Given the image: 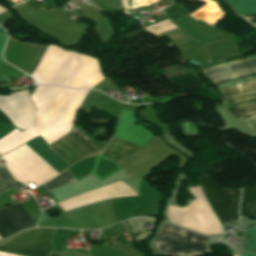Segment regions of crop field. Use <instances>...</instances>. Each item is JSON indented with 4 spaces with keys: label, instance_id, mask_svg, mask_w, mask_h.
<instances>
[{
    "label": "crop field",
    "instance_id": "8a807250",
    "mask_svg": "<svg viewBox=\"0 0 256 256\" xmlns=\"http://www.w3.org/2000/svg\"><path fill=\"white\" fill-rule=\"evenodd\" d=\"M87 93L62 87L37 86L31 96L37 107L35 130L48 145L71 131Z\"/></svg>",
    "mask_w": 256,
    "mask_h": 256
},
{
    "label": "crop field",
    "instance_id": "ac0d7876",
    "mask_svg": "<svg viewBox=\"0 0 256 256\" xmlns=\"http://www.w3.org/2000/svg\"><path fill=\"white\" fill-rule=\"evenodd\" d=\"M38 84H55L92 89L105 76L100 74L96 59L64 51L49 45L31 75Z\"/></svg>",
    "mask_w": 256,
    "mask_h": 256
},
{
    "label": "crop field",
    "instance_id": "34b2d1b8",
    "mask_svg": "<svg viewBox=\"0 0 256 256\" xmlns=\"http://www.w3.org/2000/svg\"><path fill=\"white\" fill-rule=\"evenodd\" d=\"M189 189L196 200L188 207H168L169 221L204 234L222 233L220 222L209 208L201 188Z\"/></svg>",
    "mask_w": 256,
    "mask_h": 256
},
{
    "label": "crop field",
    "instance_id": "412701ff",
    "mask_svg": "<svg viewBox=\"0 0 256 256\" xmlns=\"http://www.w3.org/2000/svg\"><path fill=\"white\" fill-rule=\"evenodd\" d=\"M207 237L196 235L173 225H161L154 252L172 256H190L205 251Z\"/></svg>",
    "mask_w": 256,
    "mask_h": 256
},
{
    "label": "crop field",
    "instance_id": "f4fd0767",
    "mask_svg": "<svg viewBox=\"0 0 256 256\" xmlns=\"http://www.w3.org/2000/svg\"><path fill=\"white\" fill-rule=\"evenodd\" d=\"M55 230L29 229L1 242L0 251L25 256H49Z\"/></svg>",
    "mask_w": 256,
    "mask_h": 256
},
{
    "label": "crop field",
    "instance_id": "dd49c442",
    "mask_svg": "<svg viewBox=\"0 0 256 256\" xmlns=\"http://www.w3.org/2000/svg\"><path fill=\"white\" fill-rule=\"evenodd\" d=\"M205 196L221 223L238 220L241 188L221 190L208 175L199 177Z\"/></svg>",
    "mask_w": 256,
    "mask_h": 256
},
{
    "label": "crop field",
    "instance_id": "e52e79f7",
    "mask_svg": "<svg viewBox=\"0 0 256 256\" xmlns=\"http://www.w3.org/2000/svg\"><path fill=\"white\" fill-rule=\"evenodd\" d=\"M0 111L9 118L15 127L21 130L33 127L34 106L27 90L0 96Z\"/></svg>",
    "mask_w": 256,
    "mask_h": 256
},
{
    "label": "crop field",
    "instance_id": "d8731c3e",
    "mask_svg": "<svg viewBox=\"0 0 256 256\" xmlns=\"http://www.w3.org/2000/svg\"><path fill=\"white\" fill-rule=\"evenodd\" d=\"M48 147L70 165L99 152L75 127L64 138Z\"/></svg>",
    "mask_w": 256,
    "mask_h": 256
},
{
    "label": "crop field",
    "instance_id": "5a996713",
    "mask_svg": "<svg viewBox=\"0 0 256 256\" xmlns=\"http://www.w3.org/2000/svg\"><path fill=\"white\" fill-rule=\"evenodd\" d=\"M20 204L0 211V237L1 239L15 233L16 231L33 226Z\"/></svg>",
    "mask_w": 256,
    "mask_h": 256
},
{
    "label": "crop field",
    "instance_id": "3316defc",
    "mask_svg": "<svg viewBox=\"0 0 256 256\" xmlns=\"http://www.w3.org/2000/svg\"><path fill=\"white\" fill-rule=\"evenodd\" d=\"M223 107L239 121L256 116V93L223 100Z\"/></svg>",
    "mask_w": 256,
    "mask_h": 256
},
{
    "label": "crop field",
    "instance_id": "28ad6ade",
    "mask_svg": "<svg viewBox=\"0 0 256 256\" xmlns=\"http://www.w3.org/2000/svg\"><path fill=\"white\" fill-rule=\"evenodd\" d=\"M232 79L256 74V56L227 63Z\"/></svg>",
    "mask_w": 256,
    "mask_h": 256
},
{
    "label": "crop field",
    "instance_id": "d1516ede",
    "mask_svg": "<svg viewBox=\"0 0 256 256\" xmlns=\"http://www.w3.org/2000/svg\"><path fill=\"white\" fill-rule=\"evenodd\" d=\"M137 147L138 146L131 144L129 142H126V141L114 136L111 143L109 144V146L103 152H101L99 155L109 158V159H112V160H115L117 158L125 156L126 154L130 153Z\"/></svg>",
    "mask_w": 256,
    "mask_h": 256
},
{
    "label": "crop field",
    "instance_id": "22f410ed",
    "mask_svg": "<svg viewBox=\"0 0 256 256\" xmlns=\"http://www.w3.org/2000/svg\"><path fill=\"white\" fill-rule=\"evenodd\" d=\"M240 216H256V188L243 189Z\"/></svg>",
    "mask_w": 256,
    "mask_h": 256
},
{
    "label": "crop field",
    "instance_id": "cbeb9de0",
    "mask_svg": "<svg viewBox=\"0 0 256 256\" xmlns=\"http://www.w3.org/2000/svg\"><path fill=\"white\" fill-rule=\"evenodd\" d=\"M202 72L206 75V77L211 81L213 85L231 79L225 67V64L206 69Z\"/></svg>",
    "mask_w": 256,
    "mask_h": 256
},
{
    "label": "crop field",
    "instance_id": "5142ce71",
    "mask_svg": "<svg viewBox=\"0 0 256 256\" xmlns=\"http://www.w3.org/2000/svg\"><path fill=\"white\" fill-rule=\"evenodd\" d=\"M241 16L256 12V0H225Z\"/></svg>",
    "mask_w": 256,
    "mask_h": 256
},
{
    "label": "crop field",
    "instance_id": "d9b57169",
    "mask_svg": "<svg viewBox=\"0 0 256 256\" xmlns=\"http://www.w3.org/2000/svg\"><path fill=\"white\" fill-rule=\"evenodd\" d=\"M17 187L15 179L6 169L2 159L0 158V193Z\"/></svg>",
    "mask_w": 256,
    "mask_h": 256
},
{
    "label": "crop field",
    "instance_id": "733c2abd",
    "mask_svg": "<svg viewBox=\"0 0 256 256\" xmlns=\"http://www.w3.org/2000/svg\"><path fill=\"white\" fill-rule=\"evenodd\" d=\"M71 181H74V178L71 176V174L66 169L64 172H62L59 176H57L55 179L43 184L44 187L47 189V191L59 187L61 185H64L66 183H69Z\"/></svg>",
    "mask_w": 256,
    "mask_h": 256
},
{
    "label": "crop field",
    "instance_id": "4a817a6b",
    "mask_svg": "<svg viewBox=\"0 0 256 256\" xmlns=\"http://www.w3.org/2000/svg\"><path fill=\"white\" fill-rule=\"evenodd\" d=\"M245 236L244 252L256 251V226L243 232Z\"/></svg>",
    "mask_w": 256,
    "mask_h": 256
},
{
    "label": "crop field",
    "instance_id": "bc2a9ffb",
    "mask_svg": "<svg viewBox=\"0 0 256 256\" xmlns=\"http://www.w3.org/2000/svg\"><path fill=\"white\" fill-rule=\"evenodd\" d=\"M237 87L243 94L254 93L256 92V80L244 84H238Z\"/></svg>",
    "mask_w": 256,
    "mask_h": 256
},
{
    "label": "crop field",
    "instance_id": "214f88e0",
    "mask_svg": "<svg viewBox=\"0 0 256 256\" xmlns=\"http://www.w3.org/2000/svg\"><path fill=\"white\" fill-rule=\"evenodd\" d=\"M219 92L224 97H232V96L242 95L235 86L219 89Z\"/></svg>",
    "mask_w": 256,
    "mask_h": 256
},
{
    "label": "crop field",
    "instance_id": "92a150f3",
    "mask_svg": "<svg viewBox=\"0 0 256 256\" xmlns=\"http://www.w3.org/2000/svg\"><path fill=\"white\" fill-rule=\"evenodd\" d=\"M5 39H6V33L2 28H0V60L2 59L1 54H2L4 43H5Z\"/></svg>",
    "mask_w": 256,
    "mask_h": 256
},
{
    "label": "crop field",
    "instance_id": "dafd665d",
    "mask_svg": "<svg viewBox=\"0 0 256 256\" xmlns=\"http://www.w3.org/2000/svg\"><path fill=\"white\" fill-rule=\"evenodd\" d=\"M241 122L256 131V117L250 118L248 120H243Z\"/></svg>",
    "mask_w": 256,
    "mask_h": 256
},
{
    "label": "crop field",
    "instance_id": "00972430",
    "mask_svg": "<svg viewBox=\"0 0 256 256\" xmlns=\"http://www.w3.org/2000/svg\"><path fill=\"white\" fill-rule=\"evenodd\" d=\"M243 17L256 26V14H251Z\"/></svg>",
    "mask_w": 256,
    "mask_h": 256
},
{
    "label": "crop field",
    "instance_id": "a9b5d70f",
    "mask_svg": "<svg viewBox=\"0 0 256 256\" xmlns=\"http://www.w3.org/2000/svg\"><path fill=\"white\" fill-rule=\"evenodd\" d=\"M254 79H256V76H251V77L234 80V83L238 84V83H242V82H246V81H250V80H254Z\"/></svg>",
    "mask_w": 256,
    "mask_h": 256
},
{
    "label": "crop field",
    "instance_id": "4177f3b9",
    "mask_svg": "<svg viewBox=\"0 0 256 256\" xmlns=\"http://www.w3.org/2000/svg\"><path fill=\"white\" fill-rule=\"evenodd\" d=\"M232 85H233V83H232V81H230V82H227V83L218 85V86H219L220 88H223V87H228V86H232Z\"/></svg>",
    "mask_w": 256,
    "mask_h": 256
},
{
    "label": "crop field",
    "instance_id": "730fd06b",
    "mask_svg": "<svg viewBox=\"0 0 256 256\" xmlns=\"http://www.w3.org/2000/svg\"><path fill=\"white\" fill-rule=\"evenodd\" d=\"M239 256H256V253L244 254V255H239Z\"/></svg>",
    "mask_w": 256,
    "mask_h": 256
},
{
    "label": "crop field",
    "instance_id": "eef30255",
    "mask_svg": "<svg viewBox=\"0 0 256 256\" xmlns=\"http://www.w3.org/2000/svg\"><path fill=\"white\" fill-rule=\"evenodd\" d=\"M1 6V5H0ZM5 9L4 8H2V7H0V12H2V11H4Z\"/></svg>",
    "mask_w": 256,
    "mask_h": 256
},
{
    "label": "crop field",
    "instance_id": "ae1a2a85",
    "mask_svg": "<svg viewBox=\"0 0 256 256\" xmlns=\"http://www.w3.org/2000/svg\"><path fill=\"white\" fill-rule=\"evenodd\" d=\"M51 256H58V255H55V254H53V253H52V255H51Z\"/></svg>",
    "mask_w": 256,
    "mask_h": 256
},
{
    "label": "crop field",
    "instance_id": "d3111659",
    "mask_svg": "<svg viewBox=\"0 0 256 256\" xmlns=\"http://www.w3.org/2000/svg\"><path fill=\"white\" fill-rule=\"evenodd\" d=\"M235 256H237V255H235Z\"/></svg>",
    "mask_w": 256,
    "mask_h": 256
}]
</instances>
